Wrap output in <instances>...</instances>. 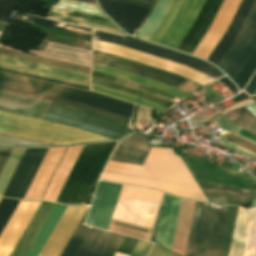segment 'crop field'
Wrapping results in <instances>:
<instances>
[{
	"label": "crop field",
	"instance_id": "27",
	"mask_svg": "<svg viewBox=\"0 0 256 256\" xmlns=\"http://www.w3.org/2000/svg\"><path fill=\"white\" fill-rule=\"evenodd\" d=\"M254 1L255 0H242L227 32L222 37L218 45L215 47L211 55L208 57L209 61L217 65V63L237 35Z\"/></svg>",
	"mask_w": 256,
	"mask_h": 256
},
{
	"label": "crop field",
	"instance_id": "36",
	"mask_svg": "<svg viewBox=\"0 0 256 256\" xmlns=\"http://www.w3.org/2000/svg\"><path fill=\"white\" fill-rule=\"evenodd\" d=\"M0 90L3 91H8V92H12V93H17V94H22V95H27V96H32V97H36V98H41V99H46V100H50V101H54V102H58V103H62V104H66V105H70V106H74V107H78V108H82V109H86L89 111H93L99 114H103L106 116H110L113 118H117L123 121H129V118H125L119 115H115L109 112H105L99 109H95L89 106H85V105H81V104H77V103H73V102H68V101H64V100H59V99H55V98H51V97H46V96H42V95H38V94H33V93H29V92H24V91H20V90H16V89H11V88H7V87H3L0 86Z\"/></svg>",
	"mask_w": 256,
	"mask_h": 256
},
{
	"label": "crop field",
	"instance_id": "35",
	"mask_svg": "<svg viewBox=\"0 0 256 256\" xmlns=\"http://www.w3.org/2000/svg\"><path fill=\"white\" fill-rule=\"evenodd\" d=\"M91 83L101 85V86H104V87H107V88H111V89H114V90H117V91H121V92H124V93H127V94H131V95H134V96H137V97H141V98H144V99H147V100H151V101H154L158 104H161V105H163L167 108H169L170 106L173 105V103L168 102V101H166L164 99H161L159 97L149 95V94H146V93H143V92H139V91H136V90H133V89H130V88H126V87H123V86H120V85H117V84H113V83H110V82H107V81H103V80H100V79H97V78L92 77Z\"/></svg>",
	"mask_w": 256,
	"mask_h": 256
},
{
	"label": "crop field",
	"instance_id": "38",
	"mask_svg": "<svg viewBox=\"0 0 256 256\" xmlns=\"http://www.w3.org/2000/svg\"><path fill=\"white\" fill-rule=\"evenodd\" d=\"M79 4H81V6H79ZM54 7H59V8H63V9H68V10L78 11V12H82V13L106 17L98 9L97 6L85 4V3H81V2H76V1H72V0H59V2Z\"/></svg>",
	"mask_w": 256,
	"mask_h": 256
},
{
	"label": "crop field",
	"instance_id": "45",
	"mask_svg": "<svg viewBox=\"0 0 256 256\" xmlns=\"http://www.w3.org/2000/svg\"><path fill=\"white\" fill-rule=\"evenodd\" d=\"M124 237L113 234L101 256H114Z\"/></svg>",
	"mask_w": 256,
	"mask_h": 256
},
{
	"label": "crop field",
	"instance_id": "25",
	"mask_svg": "<svg viewBox=\"0 0 256 256\" xmlns=\"http://www.w3.org/2000/svg\"><path fill=\"white\" fill-rule=\"evenodd\" d=\"M65 147L49 148L24 199H40Z\"/></svg>",
	"mask_w": 256,
	"mask_h": 256
},
{
	"label": "crop field",
	"instance_id": "46",
	"mask_svg": "<svg viewBox=\"0 0 256 256\" xmlns=\"http://www.w3.org/2000/svg\"><path fill=\"white\" fill-rule=\"evenodd\" d=\"M0 71L9 72V73L17 74V75H22V76H26V77H30V78H35V79H39V80H44V81H48V82H52V83H57V84L70 86V87H74V88H79V89H84V90L89 91V88L83 87V86H78V85H74V84H69V83H65V82H60V81H56V80H51V79H47V78H42V77L29 75V74H25V73H20V72H16V71H11V70H7V69H2V68H0Z\"/></svg>",
	"mask_w": 256,
	"mask_h": 256
},
{
	"label": "crop field",
	"instance_id": "2",
	"mask_svg": "<svg viewBox=\"0 0 256 256\" xmlns=\"http://www.w3.org/2000/svg\"><path fill=\"white\" fill-rule=\"evenodd\" d=\"M47 101L0 91V110L40 119ZM43 120L82 128L100 135L117 139L133 132L128 123L86 110L48 102Z\"/></svg>",
	"mask_w": 256,
	"mask_h": 256
},
{
	"label": "crop field",
	"instance_id": "10",
	"mask_svg": "<svg viewBox=\"0 0 256 256\" xmlns=\"http://www.w3.org/2000/svg\"><path fill=\"white\" fill-rule=\"evenodd\" d=\"M94 39L112 43V44H117L130 49H134V50L148 53L154 56H158V57L172 60L178 63H182L192 68H195L199 71H202L215 79L221 76H224L221 72H219L218 70L206 64L203 61L196 60L192 57L179 54L162 47L150 45L145 42H141V41H137V40H133V39H129V38L97 31V30H94Z\"/></svg>",
	"mask_w": 256,
	"mask_h": 256
},
{
	"label": "crop field",
	"instance_id": "31",
	"mask_svg": "<svg viewBox=\"0 0 256 256\" xmlns=\"http://www.w3.org/2000/svg\"><path fill=\"white\" fill-rule=\"evenodd\" d=\"M65 208L66 206L55 205L54 209L52 210L51 214L49 215L48 219L46 220L45 224L43 225L42 229L40 230L39 234L37 235L25 256H38Z\"/></svg>",
	"mask_w": 256,
	"mask_h": 256
},
{
	"label": "crop field",
	"instance_id": "11",
	"mask_svg": "<svg viewBox=\"0 0 256 256\" xmlns=\"http://www.w3.org/2000/svg\"><path fill=\"white\" fill-rule=\"evenodd\" d=\"M93 55H96V63L99 65L108 66L118 69L133 75H137L155 82H159L174 88L180 87L188 79L162 69L138 63L115 55L93 50ZM93 63V62H92Z\"/></svg>",
	"mask_w": 256,
	"mask_h": 256
},
{
	"label": "crop field",
	"instance_id": "29",
	"mask_svg": "<svg viewBox=\"0 0 256 256\" xmlns=\"http://www.w3.org/2000/svg\"><path fill=\"white\" fill-rule=\"evenodd\" d=\"M82 146L69 147L43 200L55 202Z\"/></svg>",
	"mask_w": 256,
	"mask_h": 256
},
{
	"label": "crop field",
	"instance_id": "7",
	"mask_svg": "<svg viewBox=\"0 0 256 256\" xmlns=\"http://www.w3.org/2000/svg\"><path fill=\"white\" fill-rule=\"evenodd\" d=\"M162 195L123 185L112 218L151 229Z\"/></svg>",
	"mask_w": 256,
	"mask_h": 256
},
{
	"label": "crop field",
	"instance_id": "42",
	"mask_svg": "<svg viewBox=\"0 0 256 256\" xmlns=\"http://www.w3.org/2000/svg\"><path fill=\"white\" fill-rule=\"evenodd\" d=\"M17 200L2 198L0 202V231L17 205Z\"/></svg>",
	"mask_w": 256,
	"mask_h": 256
},
{
	"label": "crop field",
	"instance_id": "49",
	"mask_svg": "<svg viewBox=\"0 0 256 256\" xmlns=\"http://www.w3.org/2000/svg\"><path fill=\"white\" fill-rule=\"evenodd\" d=\"M148 256H178V255H175L167 250H164V249L154 245L152 250L148 254Z\"/></svg>",
	"mask_w": 256,
	"mask_h": 256
},
{
	"label": "crop field",
	"instance_id": "33",
	"mask_svg": "<svg viewBox=\"0 0 256 256\" xmlns=\"http://www.w3.org/2000/svg\"><path fill=\"white\" fill-rule=\"evenodd\" d=\"M92 70L104 72V73L111 74V75H114V76H117V77H121V78L130 80V81H134V82H137V83H140V84H143V85H147V86H150V87H153V88H157V89L163 90V91H165L169 94H172V95H174V96H176L180 99H182L185 95H187V94H185L181 91L175 90V89L170 88L168 86H165V85H162V84H159V83H155V82H152V81L140 78V77H136V76H133V75H130V74L118 71V70H114V69H111V68H108V67L92 64Z\"/></svg>",
	"mask_w": 256,
	"mask_h": 256
},
{
	"label": "crop field",
	"instance_id": "30",
	"mask_svg": "<svg viewBox=\"0 0 256 256\" xmlns=\"http://www.w3.org/2000/svg\"><path fill=\"white\" fill-rule=\"evenodd\" d=\"M252 210L239 207L229 256H243Z\"/></svg>",
	"mask_w": 256,
	"mask_h": 256
},
{
	"label": "crop field",
	"instance_id": "37",
	"mask_svg": "<svg viewBox=\"0 0 256 256\" xmlns=\"http://www.w3.org/2000/svg\"><path fill=\"white\" fill-rule=\"evenodd\" d=\"M91 89L95 90L97 92H101V93H104V94H107V95H111V96L126 100V101H130V102H133V103H136V104H140V105H143V106L150 107V108L155 109L159 112H163L167 109V108H165L163 106H160V105H158L154 102L147 101V100H144V99H141V98H137V97H134V96H131V95H127V94H124V93H121V92H117V91H114V90H111V89H107V88H104V87H101V86L91 84Z\"/></svg>",
	"mask_w": 256,
	"mask_h": 256
},
{
	"label": "crop field",
	"instance_id": "58",
	"mask_svg": "<svg viewBox=\"0 0 256 256\" xmlns=\"http://www.w3.org/2000/svg\"><path fill=\"white\" fill-rule=\"evenodd\" d=\"M252 174H254L256 176V167L253 168Z\"/></svg>",
	"mask_w": 256,
	"mask_h": 256
},
{
	"label": "crop field",
	"instance_id": "56",
	"mask_svg": "<svg viewBox=\"0 0 256 256\" xmlns=\"http://www.w3.org/2000/svg\"><path fill=\"white\" fill-rule=\"evenodd\" d=\"M115 256H129V255H125V254L116 252Z\"/></svg>",
	"mask_w": 256,
	"mask_h": 256
},
{
	"label": "crop field",
	"instance_id": "6",
	"mask_svg": "<svg viewBox=\"0 0 256 256\" xmlns=\"http://www.w3.org/2000/svg\"><path fill=\"white\" fill-rule=\"evenodd\" d=\"M226 208L197 202L185 256H216Z\"/></svg>",
	"mask_w": 256,
	"mask_h": 256
},
{
	"label": "crop field",
	"instance_id": "47",
	"mask_svg": "<svg viewBox=\"0 0 256 256\" xmlns=\"http://www.w3.org/2000/svg\"><path fill=\"white\" fill-rule=\"evenodd\" d=\"M214 119H216V120H218V121H220V122H222L224 124H227V125L235 128V129H237V130H239V128H240V126H238V125H236V124H234V123H232V122H230V121H228L226 119H223V118H221L219 116L214 117ZM214 119H211L210 122H212V123H214V124L224 128V129H226V130H228V131H230V132H232L234 134L237 132V130H235V129L227 126V125H224V124H222V123H220V122H218V121H216Z\"/></svg>",
	"mask_w": 256,
	"mask_h": 256
},
{
	"label": "crop field",
	"instance_id": "61",
	"mask_svg": "<svg viewBox=\"0 0 256 256\" xmlns=\"http://www.w3.org/2000/svg\"><path fill=\"white\" fill-rule=\"evenodd\" d=\"M0 200H1V198H0Z\"/></svg>",
	"mask_w": 256,
	"mask_h": 256
},
{
	"label": "crop field",
	"instance_id": "21",
	"mask_svg": "<svg viewBox=\"0 0 256 256\" xmlns=\"http://www.w3.org/2000/svg\"><path fill=\"white\" fill-rule=\"evenodd\" d=\"M180 201L179 198L164 196L154 242L168 249L171 248Z\"/></svg>",
	"mask_w": 256,
	"mask_h": 256
},
{
	"label": "crop field",
	"instance_id": "60",
	"mask_svg": "<svg viewBox=\"0 0 256 256\" xmlns=\"http://www.w3.org/2000/svg\"><path fill=\"white\" fill-rule=\"evenodd\" d=\"M254 101H256V98H253Z\"/></svg>",
	"mask_w": 256,
	"mask_h": 256
},
{
	"label": "crop field",
	"instance_id": "32",
	"mask_svg": "<svg viewBox=\"0 0 256 256\" xmlns=\"http://www.w3.org/2000/svg\"><path fill=\"white\" fill-rule=\"evenodd\" d=\"M12 19L21 21V22H25V23H29V24L38 25V26L48 27V28L62 30V31L71 32V33H75V34H80V35H85V36H89V37H91V34H92V31L88 30L89 28L88 29L79 28L80 26L75 27V26H71V25L57 23V22L44 20V19H40V18H35V17L27 16V15L18 14V13H14Z\"/></svg>",
	"mask_w": 256,
	"mask_h": 256
},
{
	"label": "crop field",
	"instance_id": "5",
	"mask_svg": "<svg viewBox=\"0 0 256 256\" xmlns=\"http://www.w3.org/2000/svg\"><path fill=\"white\" fill-rule=\"evenodd\" d=\"M113 144L83 146L56 202L84 204Z\"/></svg>",
	"mask_w": 256,
	"mask_h": 256
},
{
	"label": "crop field",
	"instance_id": "22",
	"mask_svg": "<svg viewBox=\"0 0 256 256\" xmlns=\"http://www.w3.org/2000/svg\"><path fill=\"white\" fill-rule=\"evenodd\" d=\"M102 9L114 19L120 26L137 29L149 9L134 5L114 2L110 0H99Z\"/></svg>",
	"mask_w": 256,
	"mask_h": 256
},
{
	"label": "crop field",
	"instance_id": "1",
	"mask_svg": "<svg viewBox=\"0 0 256 256\" xmlns=\"http://www.w3.org/2000/svg\"><path fill=\"white\" fill-rule=\"evenodd\" d=\"M101 179L157 188L176 196H205L172 149L152 147L143 166L109 161Z\"/></svg>",
	"mask_w": 256,
	"mask_h": 256
},
{
	"label": "crop field",
	"instance_id": "50",
	"mask_svg": "<svg viewBox=\"0 0 256 256\" xmlns=\"http://www.w3.org/2000/svg\"><path fill=\"white\" fill-rule=\"evenodd\" d=\"M150 8L154 0H114Z\"/></svg>",
	"mask_w": 256,
	"mask_h": 256
},
{
	"label": "crop field",
	"instance_id": "18",
	"mask_svg": "<svg viewBox=\"0 0 256 256\" xmlns=\"http://www.w3.org/2000/svg\"><path fill=\"white\" fill-rule=\"evenodd\" d=\"M112 233L80 225L62 256H100Z\"/></svg>",
	"mask_w": 256,
	"mask_h": 256
},
{
	"label": "crop field",
	"instance_id": "57",
	"mask_svg": "<svg viewBox=\"0 0 256 256\" xmlns=\"http://www.w3.org/2000/svg\"><path fill=\"white\" fill-rule=\"evenodd\" d=\"M251 207H256V198L254 199Z\"/></svg>",
	"mask_w": 256,
	"mask_h": 256
},
{
	"label": "crop field",
	"instance_id": "19",
	"mask_svg": "<svg viewBox=\"0 0 256 256\" xmlns=\"http://www.w3.org/2000/svg\"><path fill=\"white\" fill-rule=\"evenodd\" d=\"M38 201H21L0 237V256H9L39 206Z\"/></svg>",
	"mask_w": 256,
	"mask_h": 256
},
{
	"label": "crop field",
	"instance_id": "16",
	"mask_svg": "<svg viewBox=\"0 0 256 256\" xmlns=\"http://www.w3.org/2000/svg\"><path fill=\"white\" fill-rule=\"evenodd\" d=\"M47 148L26 149L3 196L22 199Z\"/></svg>",
	"mask_w": 256,
	"mask_h": 256
},
{
	"label": "crop field",
	"instance_id": "54",
	"mask_svg": "<svg viewBox=\"0 0 256 256\" xmlns=\"http://www.w3.org/2000/svg\"><path fill=\"white\" fill-rule=\"evenodd\" d=\"M244 98H248V96H246L244 93L233 98L235 101H238V100H241V99H244Z\"/></svg>",
	"mask_w": 256,
	"mask_h": 256
},
{
	"label": "crop field",
	"instance_id": "40",
	"mask_svg": "<svg viewBox=\"0 0 256 256\" xmlns=\"http://www.w3.org/2000/svg\"><path fill=\"white\" fill-rule=\"evenodd\" d=\"M238 207L228 206L219 245L230 246Z\"/></svg>",
	"mask_w": 256,
	"mask_h": 256
},
{
	"label": "crop field",
	"instance_id": "4",
	"mask_svg": "<svg viewBox=\"0 0 256 256\" xmlns=\"http://www.w3.org/2000/svg\"><path fill=\"white\" fill-rule=\"evenodd\" d=\"M0 85L73 101L125 117H131L133 105L79 89L37 81L0 72Z\"/></svg>",
	"mask_w": 256,
	"mask_h": 256
},
{
	"label": "crop field",
	"instance_id": "14",
	"mask_svg": "<svg viewBox=\"0 0 256 256\" xmlns=\"http://www.w3.org/2000/svg\"><path fill=\"white\" fill-rule=\"evenodd\" d=\"M0 67L89 87L90 75L0 55Z\"/></svg>",
	"mask_w": 256,
	"mask_h": 256
},
{
	"label": "crop field",
	"instance_id": "52",
	"mask_svg": "<svg viewBox=\"0 0 256 256\" xmlns=\"http://www.w3.org/2000/svg\"><path fill=\"white\" fill-rule=\"evenodd\" d=\"M255 89H256V73L254 74V76L252 77V79L250 80L248 85L246 86L245 91L249 95H252V93L254 92Z\"/></svg>",
	"mask_w": 256,
	"mask_h": 256
},
{
	"label": "crop field",
	"instance_id": "51",
	"mask_svg": "<svg viewBox=\"0 0 256 256\" xmlns=\"http://www.w3.org/2000/svg\"><path fill=\"white\" fill-rule=\"evenodd\" d=\"M13 149H0V151H12ZM11 152H0V174L10 156Z\"/></svg>",
	"mask_w": 256,
	"mask_h": 256
},
{
	"label": "crop field",
	"instance_id": "34",
	"mask_svg": "<svg viewBox=\"0 0 256 256\" xmlns=\"http://www.w3.org/2000/svg\"><path fill=\"white\" fill-rule=\"evenodd\" d=\"M254 101L252 99L239 102L237 104L232 105L231 107L227 108L223 112L227 113L228 111H231L241 105L253 103ZM246 108H248L254 115H256V103L245 105ZM244 106H241L233 111L239 112L241 115L237 118L235 123L252 130L256 132V116H254L248 109H246Z\"/></svg>",
	"mask_w": 256,
	"mask_h": 256
},
{
	"label": "crop field",
	"instance_id": "9",
	"mask_svg": "<svg viewBox=\"0 0 256 256\" xmlns=\"http://www.w3.org/2000/svg\"><path fill=\"white\" fill-rule=\"evenodd\" d=\"M255 48L256 1L254 2L238 35L218 63V66L234 81Z\"/></svg>",
	"mask_w": 256,
	"mask_h": 256
},
{
	"label": "crop field",
	"instance_id": "3",
	"mask_svg": "<svg viewBox=\"0 0 256 256\" xmlns=\"http://www.w3.org/2000/svg\"><path fill=\"white\" fill-rule=\"evenodd\" d=\"M9 113L0 111V131ZM3 133L53 143L71 145L112 140L75 128L10 113L2 129Z\"/></svg>",
	"mask_w": 256,
	"mask_h": 256
},
{
	"label": "crop field",
	"instance_id": "44",
	"mask_svg": "<svg viewBox=\"0 0 256 256\" xmlns=\"http://www.w3.org/2000/svg\"><path fill=\"white\" fill-rule=\"evenodd\" d=\"M17 0H0V22L7 23Z\"/></svg>",
	"mask_w": 256,
	"mask_h": 256
},
{
	"label": "crop field",
	"instance_id": "26",
	"mask_svg": "<svg viewBox=\"0 0 256 256\" xmlns=\"http://www.w3.org/2000/svg\"><path fill=\"white\" fill-rule=\"evenodd\" d=\"M53 204L41 202L10 256H24L53 209Z\"/></svg>",
	"mask_w": 256,
	"mask_h": 256
},
{
	"label": "crop field",
	"instance_id": "24",
	"mask_svg": "<svg viewBox=\"0 0 256 256\" xmlns=\"http://www.w3.org/2000/svg\"><path fill=\"white\" fill-rule=\"evenodd\" d=\"M150 139L143 134H134L119 143L110 160L142 165L151 148L147 145Z\"/></svg>",
	"mask_w": 256,
	"mask_h": 256
},
{
	"label": "crop field",
	"instance_id": "53",
	"mask_svg": "<svg viewBox=\"0 0 256 256\" xmlns=\"http://www.w3.org/2000/svg\"><path fill=\"white\" fill-rule=\"evenodd\" d=\"M220 81H222L228 88H230L236 94V87L226 77L220 79Z\"/></svg>",
	"mask_w": 256,
	"mask_h": 256
},
{
	"label": "crop field",
	"instance_id": "15",
	"mask_svg": "<svg viewBox=\"0 0 256 256\" xmlns=\"http://www.w3.org/2000/svg\"><path fill=\"white\" fill-rule=\"evenodd\" d=\"M122 185L99 182L86 225L108 229Z\"/></svg>",
	"mask_w": 256,
	"mask_h": 256
},
{
	"label": "crop field",
	"instance_id": "17",
	"mask_svg": "<svg viewBox=\"0 0 256 256\" xmlns=\"http://www.w3.org/2000/svg\"><path fill=\"white\" fill-rule=\"evenodd\" d=\"M88 207L89 206H86V208L85 206H67L66 210L64 211L62 217L60 218L59 222L54 228L46 244L44 245L39 256H56L65 239L67 238L68 234L72 230L73 226L75 225L76 221L78 220L79 216L85 208L76 225L74 226L73 230L71 231L62 248L60 249L59 253L57 254V256H60L69 239L71 238L72 234L74 233L75 229L77 228L79 222L81 221L82 217L87 211Z\"/></svg>",
	"mask_w": 256,
	"mask_h": 256
},
{
	"label": "crop field",
	"instance_id": "48",
	"mask_svg": "<svg viewBox=\"0 0 256 256\" xmlns=\"http://www.w3.org/2000/svg\"><path fill=\"white\" fill-rule=\"evenodd\" d=\"M150 246L151 243L139 240L131 256H145Z\"/></svg>",
	"mask_w": 256,
	"mask_h": 256
},
{
	"label": "crop field",
	"instance_id": "28",
	"mask_svg": "<svg viewBox=\"0 0 256 256\" xmlns=\"http://www.w3.org/2000/svg\"><path fill=\"white\" fill-rule=\"evenodd\" d=\"M48 17L121 33L109 19L97 16L52 7Z\"/></svg>",
	"mask_w": 256,
	"mask_h": 256
},
{
	"label": "crop field",
	"instance_id": "59",
	"mask_svg": "<svg viewBox=\"0 0 256 256\" xmlns=\"http://www.w3.org/2000/svg\"><path fill=\"white\" fill-rule=\"evenodd\" d=\"M254 94H256V90H255V92L253 93V95H254Z\"/></svg>",
	"mask_w": 256,
	"mask_h": 256
},
{
	"label": "crop field",
	"instance_id": "43",
	"mask_svg": "<svg viewBox=\"0 0 256 256\" xmlns=\"http://www.w3.org/2000/svg\"><path fill=\"white\" fill-rule=\"evenodd\" d=\"M255 67H256V50L254 51V53L252 54V56L250 57V59L245 64V66L243 67V69L241 70V72L239 73V75L234 81L239 86V88L243 86V84L248 79V77L250 76L252 71L255 69Z\"/></svg>",
	"mask_w": 256,
	"mask_h": 256
},
{
	"label": "crop field",
	"instance_id": "41",
	"mask_svg": "<svg viewBox=\"0 0 256 256\" xmlns=\"http://www.w3.org/2000/svg\"><path fill=\"white\" fill-rule=\"evenodd\" d=\"M53 144H48L44 142H39L35 140L25 139L21 137H16L12 135H7L0 133V147H12V146H51Z\"/></svg>",
	"mask_w": 256,
	"mask_h": 256
},
{
	"label": "crop field",
	"instance_id": "8",
	"mask_svg": "<svg viewBox=\"0 0 256 256\" xmlns=\"http://www.w3.org/2000/svg\"><path fill=\"white\" fill-rule=\"evenodd\" d=\"M205 0H173L149 41L176 49Z\"/></svg>",
	"mask_w": 256,
	"mask_h": 256
},
{
	"label": "crop field",
	"instance_id": "39",
	"mask_svg": "<svg viewBox=\"0 0 256 256\" xmlns=\"http://www.w3.org/2000/svg\"><path fill=\"white\" fill-rule=\"evenodd\" d=\"M24 149H14L1 176H0V196L2 195Z\"/></svg>",
	"mask_w": 256,
	"mask_h": 256
},
{
	"label": "crop field",
	"instance_id": "20",
	"mask_svg": "<svg viewBox=\"0 0 256 256\" xmlns=\"http://www.w3.org/2000/svg\"><path fill=\"white\" fill-rule=\"evenodd\" d=\"M241 0H225L211 28L204 36L193 55L207 59L224 35Z\"/></svg>",
	"mask_w": 256,
	"mask_h": 256
},
{
	"label": "crop field",
	"instance_id": "55",
	"mask_svg": "<svg viewBox=\"0 0 256 256\" xmlns=\"http://www.w3.org/2000/svg\"><path fill=\"white\" fill-rule=\"evenodd\" d=\"M77 1H82V2H86V3H90V4L96 5L94 0H77Z\"/></svg>",
	"mask_w": 256,
	"mask_h": 256
},
{
	"label": "crop field",
	"instance_id": "23",
	"mask_svg": "<svg viewBox=\"0 0 256 256\" xmlns=\"http://www.w3.org/2000/svg\"><path fill=\"white\" fill-rule=\"evenodd\" d=\"M222 0H206L194 23L177 47V50L191 53L204 31L208 27Z\"/></svg>",
	"mask_w": 256,
	"mask_h": 256
},
{
	"label": "crop field",
	"instance_id": "13",
	"mask_svg": "<svg viewBox=\"0 0 256 256\" xmlns=\"http://www.w3.org/2000/svg\"><path fill=\"white\" fill-rule=\"evenodd\" d=\"M116 45H112V44H108V43H104L96 40L93 41V49L95 50L115 54L118 56H122L128 59H132L138 62L148 64V65H152L158 68H162L168 71H172L184 77H187L195 82H198L202 85L210 82L209 80L202 77L204 74L196 70H193L185 65L178 64L172 61H168L165 59H161L158 57H154L148 54H144L141 52H137V51L130 50L124 47L116 46Z\"/></svg>",
	"mask_w": 256,
	"mask_h": 256
},
{
	"label": "crop field",
	"instance_id": "12",
	"mask_svg": "<svg viewBox=\"0 0 256 256\" xmlns=\"http://www.w3.org/2000/svg\"><path fill=\"white\" fill-rule=\"evenodd\" d=\"M182 158L195 179L256 190V181L247 174L226 170L207 159Z\"/></svg>",
	"mask_w": 256,
	"mask_h": 256
}]
</instances>
